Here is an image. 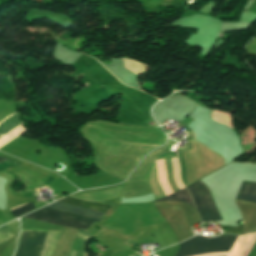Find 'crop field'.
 <instances>
[{
    "mask_svg": "<svg viewBox=\"0 0 256 256\" xmlns=\"http://www.w3.org/2000/svg\"><path fill=\"white\" fill-rule=\"evenodd\" d=\"M59 202H63V203H67V204H71V205H75V206H79V207H83V208H87V209H91V210H95V211H99V212H103V213H106V211L110 207L108 205L88 203V202H83V201L76 200L73 198H68V197L60 200ZM59 202L53 203L45 208L58 210V211L66 212V213H71V214H75V215H80V216L93 218V219H97V220H100L101 217L104 215L103 213H99V212H95V211H91V210H87V209H83V208H79V207H75V206H71V205H67V204H63V203H59ZM45 208H41V209L33 212V214L46 216V217H50V218H54V219H59V220H63V221H68V222H72V223H76V224H81V225H85V226H89V227H92L93 224L97 221V220L88 219V218L75 216V215H71V214H66V213L53 211V210H49V209H45ZM33 214H29V215L25 216L24 218H28V219H32V220H36V221H40V222L68 228V229H80V230H84V231L89 229V227L76 225V224H72V223H68V222H63V221H59V220H54V219H50V218H46V217H41V216H37V215H33Z\"/></svg>",
    "mask_w": 256,
    "mask_h": 256,
    "instance_id": "obj_1",
    "label": "crop field"
},
{
    "mask_svg": "<svg viewBox=\"0 0 256 256\" xmlns=\"http://www.w3.org/2000/svg\"><path fill=\"white\" fill-rule=\"evenodd\" d=\"M47 232L23 231L17 256H40ZM60 232L48 231L41 256H51ZM91 236L79 230H72L68 256H87L84 246Z\"/></svg>",
    "mask_w": 256,
    "mask_h": 256,
    "instance_id": "obj_2",
    "label": "crop field"
},
{
    "mask_svg": "<svg viewBox=\"0 0 256 256\" xmlns=\"http://www.w3.org/2000/svg\"><path fill=\"white\" fill-rule=\"evenodd\" d=\"M235 238V235L220 236L215 238L195 236L184 241L183 243H180V249L176 256H195L217 249L229 247Z\"/></svg>",
    "mask_w": 256,
    "mask_h": 256,
    "instance_id": "obj_3",
    "label": "crop field"
},
{
    "mask_svg": "<svg viewBox=\"0 0 256 256\" xmlns=\"http://www.w3.org/2000/svg\"><path fill=\"white\" fill-rule=\"evenodd\" d=\"M187 188L202 218V222L222 220L204 183L197 181Z\"/></svg>",
    "mask_w": 256,
    "mask_h": 256,
    "instance_id": "obj_4",
    "label": "crop field"
},
{
    "mask_svg": "<svg viewBox=\"0 0 256 256\" xmlns=\"http://www.w3.org/2000/svg\"><path fill=\"white\" fill-rule=\"evenodd\" d=\"M172 165H173V173H174V180L179 188V190L184 189V186L181 182L180 178V172H179V166H178V160L177 158L172 160ZM158 173H159V181L160 185L163 188L164 192L166 195L172 194V190L170 189L167 180H166V168L165 164L158 167Z\"/></svg>",
    "mask_w": 256,
    "mask_h": 256,
    "instance_id": "obj_5",
    "label": "crop field"
},
{
    "mask_svg": "<svg viewBox=\"0 0 256 256\" xmlns=\"http://www.w3.org/2000/svg\"><path fill=\"white\" fill-rule=\"evenodd\" d=\"M236 199L256 203V183L243 181Z\"/></svg>",
    "mask_w": 256,
    "mask_h": 256,
    "instance_id": "obj_6",
    "label": "crop field"
},
{
    "mask_svg": "<svg viewBox=\"0 0 256 256\" xmlns=\"http://www.w3.org/2000/svg\"><path fill=\"white\" fill-rule=\"evenodd\" d=\"M12 103V106H13V110H14V113H16L17 112V110H16V106H15V103L14 102H11ZM16 115V114H15ZM14 116V115H13ZM12 116V117H13ZM11 118V117H10ZM9 118V119H10ZM9 119H7V120H9ZM6 120V121H7ZM5 121V122H6ZM4 123V122H3ZM2 123V124H3ZM21 123V121H20V118H19V116H18V114L16 115V116H14L12 119H10L9 121H7L6 123H4L2 126H0V137L3 135V134H5V133H7L8 131H10V130H12L13 128H15L17 125H19ZM1 125V124H0Z\"/></svg>",
    "mask_w": 256,
    "mask_h": 256,
    "instance_id": "obj_7",
    "label": "crop field"
},
{
    "mask_svg": "<svg viewBox=\"0 0 256 256\" xmlns=\"http://www.w3.org/2000/svg\"><path fill=\"white\" fill-rule=\"evenodd\" d=\"M173 200L184 201L185 203H188V204L193 206L191 198H190L188 192L186 191V189H184V190H182L180 192H177L175 194H172V195H170L168 197H164V198L158 199L156 201H173ZM153 202H155V201H153Z\"/></svg>",
    "mask_w": 256,
    "mask_h": 256,
    "instance_id": "obj_8",
    "label": "crop field"
},
{
    "mask_svg": "<svg viewBox=\"0 0 256 256\" xmlns=\"http://www.w3.org/2000/svg\"><path fill=\"white\" fill-rule=\"evenodd\" d=\"M25 130V128L21 125L17 126L15 129H13L12 131H10L9 133H7L5 136H3L2 138H0V147H2L3 145H5L6 143L10 142L11 140H13L14 138H16L17 136H19L20 134H22Z\"/></svg>",
    "mask_w": 256,
    "mask_h": 256,
    "instance_id": "obj_9",
    "label": "crop field"
},
{
    "mask_svg": "<svg viewBox=\"0 0 256 256\" xmlns=\"http://www.w3.org/2000/svg\"><path fill=\"white\" fill-rule=\"evenodd\" d=\"M21 206H23V205H21ZM18 207H20V206H18ZM18 207H16V208H18ZM16 208H13V209H16ZM13 209H10V211L13 210ZM33 209H35V206L33 205L32 202H30V203H27V205H25L23 207H20L16 210L11 211V213L14 217H16L18 215H21V214L26 213V212H28L30 210H33Z\"/></svg>",
    "mask_w": 256,
    "mask_h": 256,
    "instance_id": "obj_10",
    "label": "crop field"
},
{
    "mask_svg": "<svg viewBox=\"0 0 256 256\" xmlns=\"http://www.w3.org/2000/svg\"><path fill=\"white\" fill-rule=\"evenodd\" d=\"M14 235L5 227L0 228V244L6 242L8 239L12 238Z\"/></svg>",
    "mask_w": 256,
    "mask_h": 256,
    "instance_id": "obj_11",
    "label": "crop field"
},
{
    "mask_svg": "<svg viewBox=\"0 0 256 256\" xmlns=\"http://www.w3.org/2000/svg\"><path fill=\"white\" fill-rule=\"evenodd\" d=\"M11 160H14V159L2 156V157H0V164L11 161Z\"/></svg>",
    "mask_w": 256,
    "mask_h": 256,
    "instance_id": "obj_12",
    "label": "crop field"
},
{
    "mask_svg": "<svg viewBox=\"0 0 256 256\" xmlns=\"http://www.w3.org/2000/svg\"><path fill=\"white\" fill-rule=\"evenodd\" d=\"M133 256H140V255H133Z\"/></svg>",
    "mask_w": 256,
    "mask_h": 256,
    "instance_id": "obj_13",
    "label": "crop field"
}]
</instances>
